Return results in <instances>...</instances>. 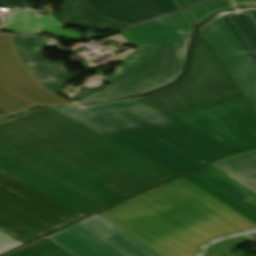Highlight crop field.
<instances>
[{
    "mask_svg": "<svg viewBox=\"0 0 256 256\" xmlns=\"http://www.w3.org/2000/svg\"><path fill=\"white\" fill-rule=\"evenodd\" d=\"M0 170L84 215L176 176L51 109L0 122Z\"/></svg>",
    "mask_w": 256,
    "mask_h": 256,
    "instance_id": "crop-field-1",
    "label": "crop field"
},
{
    "mask_svg": "<svg viewBox=\"0 0 256 256\" xmlns=\"http://www.w3.org/2000/svg\"><path fill=\"white\" fill-rule=\"evenodd\" d=\"M101 216L162 256H200L218 239L256 224L179 177Z\"/></svg>",
    "mask_w": 256,
    "mask_h": 256,
    "instance_id": "crop-field-2",
    "label": "crop field"
},
{
    "mask_svg": "<svg viewBox=\"0 0 256 256\" xmlns=\"http://www.w3.org/2000/svg\"><path fill=\"white\" fill-rule=\"evenodd\" d=\"M200 34L176 84L134 99L233 152L256 147V114Z\"/></svg>",
    "mask_w": 256,
    "mask_h": 256,
    "instance_id": "crop-field-3",
    "label": "crop field"
},
{
    "mask_svg": "<svg viewBox=\"0 0 256 256\" xmlns=\"http://www.w3.org/2000/svg\"><path fill=\"white\" fill-rule=\"evenodd\" d=\"M53 110L177 175L233 153L132 98Z\"/></svg>",
    "mask_w": 256,
    "mask_h": 256,
    "instance_id": "crop-field-4",
    "label": "crop field"
},
{
    "mask_svg": "<svg viewBox=\"0 0 256 256\" xmlns=\"http://www.w3.org/2000/svg\"><path fill=\"white\" fill-rule=\"evenodd\" d=\"M138 50L128 54L116 74L104 79L112 86L80 104L146 93L172 82L182 73L190 35L159 20L120 32Z\"/></svg>",
    "mask_w": 256,
    "mask_h": 256,
    "instance_id": "crop-field-5",
    "label": "crop field"
},
{
    "mask_svg": "<svg viewBox=\"0 0 256 256\" xmlns=\"http://www.w3.org/2000/svg\"><path fill=\"white\" fill-rule=\"evenodd\" d=\"M61 4L62 11L52 14L58 21L100 32L116 31L181 8L177 0H67ZM1 6L28 7L25 0H0Z\"/></svg>",
    "mask_w": 256,
    "mask_h": 256,
    "instance_id": "crop-field-6",
    "label": "crop field"
},
{
    "mask_svg": "<svg viewBox=\"0 0 256 256\" xmlns=\"http://www.w3.org/2000/svg\"><path fill=\"white\" fill-rule=\"evenodd\" d=\"M0 213L42 235L83 216L1 171Z\"/></svg>",
    "mask_w": 256,
    "mask_h": 256,
    "instance_id": "crop-field-7",
    "label": "crop field"
},
{
    "mask_svg": "<svg viewBox=\"0 0 256 256\" xmlns=\"http://www.w3.org/2000/svg\"><path fill=\"white\" fill-rule=\"evenodd\" d=\"M48 237L75 256H160L98 214Z\"/></svg>",
    "mask_w": 256,
    "mask_h": 256,
    "instance_id": "crop-field-8",
    "label": "crop field"
},
{
    "mask_svg": "<svg viewBox=\"0 0 256 256\" xmlns=\"http://www.w3.org/2000/svg\"><path fill=\"white\" fill-rule=\"evenodd\" d=\"M12 35H0V107L12 114L33 106L72 103L43 88L22 64Z\"/></svg>",
    "mask_w": 256,
    "mask_h": 256,
    "instance_id": "crop-field-9",
    "label": "crop field"
},
{
    "mask_svg": "<svg viewBox=\"0 0 256 256\" xmlns=\"http://www.w3.org/2000/svg\"><path fill=\"white\" fill-rule=\"evenodd\" d=\"M198 30L205 34L207 41L256 110V66L220 14L205 22Z\"/></svg>",
    "mask_w": 256,
    "mask_h": 256,
    "instance_id": "crop-field-10",
    "label": "crop field"
},
{
    "mask_svg": "<svg viewBox=\"0 0 256 256\" xmlns=\"http://www.w3.org/2000/svg\"><path fill=\"white\" fill-rule=\"evenodd\" d=\"M14 44L28 69L42 83L55 92H61V85L67 83L68 73L63 62L45 61L42 59L44 39L16 35Z\"/></svg>",
    "mask_w": 256,
    "mask_h": 256,
    "instance_id": "crop-field-11",
    "label": "crop field"
},
{
    "mask_svg": "<svg viewBox=\"0 0 256 256\" xmlns=\"http://www.w3.org/2000/svg\"><path fill=\"white\" fill-rule=\"evenodd\" d=\"M211 165L256 193V150L233 155Z\"/></svg>",
    "mask_w": 256,
    "mask_h": 256,
    "instance_id": "crop-field-12",
    "label": "crop field"
},
{
    "mask_svg": "<svg viewBox=\"0 0 256 256\" xmlns=\"http://www.w3.org/2000/svg\"><path fill=\"white\" fill-rule=\"evenodd\" d=\"M64 27L54 17H44L40 20L35 19L32 10H24L21 12L10 13L7 15L4 28L19 33L38 35L46 31L51 33Z\"/></svg>",
    "mask_w": 256,
    "mask_h": 256,
    "instance_id": "crop-field-13",
    "label": "crop field"
},
{
    "mask_svg": "<svg viewBox=\"0 0 256 256\" xmlns=\"http://www.w3.org/2000/svg\"><path fill=\"white\" fill-rule=\"evenodd\" d=\"M247 53L256 64V23L246 9L221 13Z\"/></svg>",
    "mask_w": 256,
    "mask_h": 256,
    "instance_id": "crop-field-14",
    "label": "crop field"
},
{
    "mask_svg": "<svg viewBox=\"0 0 256 256\" xmlns=\"http://www.w3.org/2000/svg\"><path fill=\"white\" fill-rule=\"evenodd\" d=\"M256 211V194L208 165L194 171Z\"/></svg>",
    "mask_w": 256,
    "mask_h": 256,
    "instance_id": "crop-field-15",
    "label": "crop field"
},
{
    "mask_svg": "<svg viewBox=\"0 0 256 256\" xmlns=\"http://www.w3.org/2000/svg\"><path fill=\"white\" fill-rule=\"evenodd\" d=\"M184 179L188 180L192 184L196 185L203 191L207 192L211 196L215 197L219 201L223 202L230 208L234 209L238 213L242 214L249 220L256 223V212L252 210L251 208L247 207L240 201L236 200L226 192L222 191L215 185L211 184L201 176L197 175L196 173L192 172L190 174L182 176Z\"/></svg>",
    "mask_w": 256,
    "mask_h": 256,
    "instance_id": "crop-field-16",
    "label": "crop field"
},
{
    "mask_svg": "<svg viewBox=\"0 0 256 256\" xmlns=\"http://www.w3.org/2000/svg\"><path fill=\"white\" fill-rule=\"evenodd\" d=\"M7 256H73L68 251L45 237Z\"/></svg>",
    "mask_w": 256,
    "mask_h": 256,
    "instance_id": "crop-field-17",
    "label": "crop field"
},
{
    "mask_svg": "<svg viewBox=\"0 0 256 256\" xmlns=\"http://www.w3.org/2000/svg\"><path fill=\"white\" fill-rule=\"evenodd\" d=\"M0 232L21 242L26 243L29 240L41 236L40 234L18 224L17 222L0 214Z\"/></svg>",
    "mask_w": 256,
    "mask_h": 256,
    "instance_id": "crop-field-18",
    "label": "crop field"
},
{
    "mask_svg": "<svg viewBox=\"0 0 256 256\" xmlns=\"http://www.w3.org/2000/svg\"><path fill=\"white\" fill-rule=\"evenodd\" d=\"M227 8H233L230 0H212L186 9V11L197 25L215 11Z\"/></svg>",
    "mask_w": 256,
    "mask_h": 256,
    "instance_id": "crop-field-19",
    "label": "crop field"
},
{
    "mask_svg": "<svg viewBox=\"0 0 256 256\" xmlns=\"http://www.w3.org/2000/svg\"><path fill=\"white\" fill-rule=\"evenodd\" d=\"M251 241L247 236L235 237L209 246L204 256H227L233 248Z\"/></svg>",
    "mask_w": 256,
    "mask_h": 256,
    "instance_id": "crop-field-20",
    "label": "crop field"
},
{
    "mask_svg": "<svg viewBox=\"0 0 256 256\" xmlns=\"http://www.w3.org/2000/svg\"><path fill=\"white\" fill-rule=\"evenodd\" d=\"M159 20L173 26L176 27L188 34H192L193 31V24L191 23V21L189 20V18L186 16V14L182 11L164 16L159 18Z\"/></svg>",
    "mask_w": 256,
    "mask_h": 256,
    "instance_id": "crop-field-21",
    "label": "crop field"
},
{
    "mask_svg": "<svg viewBox=\"0 0 256 256\" xmlns=\"http://www.w3.org/2000/svg\"><path fill=\"white\" fill-rule=\"evenodd\" d=\"M20 245L22 244L0 233V254L14 249Z\"/></svg>",
    "mask_w": 256,
    "mask_h": 256,
    "instance_id": "crop-field-22",
    "label": "crop field"
},
{
    "mask_svg": "<svg viewBox=\"0 0 256 256\" xmlns=\"http://www.w3.org/2000/svg\"><path fill=\"white\" fill-rule=\"evenodd\" d=\"M51 34H55V35H59V36H63V37H68V38H81L82 34L80 33H76L73 31H69V30H63L60 29L56 32H53Z\"/></svg>",
    "mask_w": 256,
    "mask_h": 256,
    "instance_id": "crop-field-23",
    "label": "crop field"
},
{
    "mask_svg": "<svg viewBox=\"0 0 256 256\" xmlns=\"http://www.w3.org/2000/svg\"><path fill=\"white\" fill-rule=\"evenodd\" d=\"M102 78H104V76L98 74V75H96V76L90 78L91 81L86 82L84 86H85V87L101 86V85H102V84H101L102 81H100V79H102Z\"/></svg>",
    "mask_w": 256,
    "mask_h": 256,
    "instance_id": "crop-field-24",
    "label": "crop field"
},
{
    "mask_svg": "<svg viewBox=\"0 0 256 256\" xmlns=\"http://www.w3.org/2000/svg\"><path fill=\"white\" fill-rule=\"evenodd\" d=\"M237 6H256V0H234Z\"/></svg>",
    "mask_w": 256,
    "mask_h": 256,
    "instance_id": "crop-field-25",
    "label": "crop field"
},
{
    "mask_svg": "<svg viewBox=\"0 0 256 256\" xmlns=\"http://www.w3.org/2000/svg\"><path fill=\"white\" fill-rule=\"evenodd\" d=\"M106 39H111V40H114V41H117V42H120V43H123V44H130L123 36H121L120 34L119 35H115V36H111V37H108ZM105 39V40H106Z\"/></svg>",
    "mask_w": 256,
    "mask_h": 256,
    "instance_id": "crop-field-26",
    "label": "crop field"
},
{
    "mask_svg": "<svg viewBox=\"0 0 256 256\" xmlns=\"http://www.w3.org/2000/svg\"><path fill=\"white\" fill-rule=\"evenodd\" d=\"M247 11L250 13V15L252 16V18L255 20L256 22V9H247Z\"/></svg>",
    "mask_w": 256,
    "mask_h": 256,
    "instance_id": "crop-field-27",
    "label": "crop field"
},
{
    "mask_svg": "<svg viewBox=\"0 0 256 256\" xmlns=\"http://www.w3.org/2000/svg\"><path fill=\"white\" fill-rule=\"evenodd\" d=\"M197 1H200V0H181L183 6L197 2Z\"/></svg>",
    "mask_w": 256,
    "mask_h": 256,
    "instance_id": "crop-field-28",
    "label": "crop field"
},
{
    "mask_svg": "<svg viewBox=\"0 0 256 256\" xmlns=\"http://www.w3.org/2000/svg\"><path fill=\"white\" fill-rule=\"evenodd\" d=\"M10 114H8L7 112H5L3 109L0 108V118L8 116Z\"/></svg>",
    "mask_w": 256,
    "mask_h": 256,
    "instance_id": "crop-field-29",
    "label": "crop field"
},
{
    "mask_svg": "<svg viewBox=\"0 0 256 256\" xmlns=\"http://www.w3.org/2000/svg\"><path fill=\"white\" fill-rule=\"evenodd\" d=\"M249 236H251L252 238L256 239V233H254V234H249Z\"/></svg>",
    "mask_w": 256,
    "mask_h": 256,
    "instance_id": "crop-field-30",
    "label": "crop field"
},
{
    "mask_svg": "<svg viewBox=\"0 0 256 256\" xmlns=\"http://www.w3.org/2000/svg\"><path fill=\"white\" fill-rule=\"evenodd\" d=\"M228 256H235V255H233L232 253H229V255Z\"/></svg>",
    "mask_w": 256,
    "mask_h": 256,
    "instance_id": "crop-field-31",
    "label": "crop field"
}]
</instances>
